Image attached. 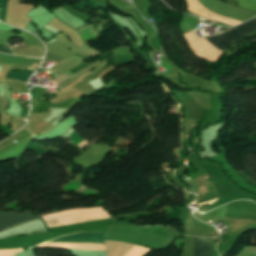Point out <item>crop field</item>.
Listing matches in <instances>:
<instances>
[{"instance_id":"crop-field-13","label":"crop field","mask_w":256,"mask_h":256,"mask_svg":"<svg viewBox=\"0 0 256 256\" xmlns=\"http://www.w3.org/2000/svg\"><path fill=\"white\" fill-rule=\"evenodd\" d=\"M25 120H26V119L24 118V120H23V121L25 122Z\"/></svg>"},{"instance_id":"crop-field-2","label":"crop field","mask_w":256,"mask_h":256,"mask_svg":"<svg viewBox=\"0 0 256 256\" xmlns=\"http://www.w3.org/2000/svg\"><path fill=\"white\" fill-rule=\"evenodd\" d=\"M186 184L197 191V201L208 200L219 196L216 188L214 187L212 181L207 177V175L186 182Z\"/></svg>"},{"instance_id":"crop-field-11","label":"crop field","mask_w":256,"mask_h":256,"mask_svg":"<svg viewBox=\"0 0 256 256\" xmlns=\"http://www.w3.org/2000/svg\"><path fill=\"white\" fill-rule=\"evenodd\" d=\"M249 256H256V254H252V253H250V255Z\"/></svg>"},{"instance_id":"crop-field-8","label":"crop field","mask_w":256,"mask_h":256,"mask_svg":"<svg viewBox=\"0 0 256 256\" xmlns=\"http://www.w3.org/2000/svg\"><path fill=\"white\" fill-rule=\"evenodd\" d=\"M67 138L71 139V144H73L74 146H76L77 148H81L83 145H85L87 143V141L82 140L79 135L74 131L73 133H71ZM82 140V141H81ZM81 141V142H80ZM80 142V143H79ZM79 143L78 145L81 146H77L76 144Z\"/></svg>"},{"instance_id":"crop-field-7","label":"crop field","mask_w":256,"mask_h":256,"mask_svg":"<svg viewBox=\"0 0 256 256\" xmlns=\"http://www.w3.org/2000/svg\"><path fill=\"white\" fill-rule=\"evenodd\" d=\"M240 7L256 12V0H237Z\"/></svg>"},{"instance_id":"crop-field-10","label":"crop field","mask_w":256,"mask_h":256,"mask_svg":"<svg viewBox=\"0 0 256 256\" xmlns=\"http://www.w3.org/2000/svg\"><path fill=\"white\" fill-rule=\"evenodd\" d=\"M0 52H5V53L13 54V53L9 50V48H8L7 45H1V44H0Z\"/></svg>"},{"instance_id":"crop-field-1","label":"crop field","mask_w":256,"mask_h":256,"mask_svg":"<svg viewBox=\"0 0 256 256\" xmlns=\"http://www.w3.org/2000/svg\"><path fill=\"white\" fill-rule=\"evenodd\" d=\"M236 29H234L231 32H226L222 35H217L213 38H206L208 41H210L212 44H214L217 48H219L220 50L223 49L224 47H226L227 45H229L230 43H232L233 41H235L236 39L254 31L256 29V19H251L237 27H235ZM256 34V30L238 40H236L235 42H233L232 44H230L229 46H227L226 48H224L221 51H224L225 49H227L228 47H230L231 45H233L234 43H236L237 41L250 37L252 35Z\"/></svg>"},{"instance_id":"crop-field-14","label":"crop field","mask_w":256,"mask_h":256,"mask_svg":"<svg viewBox=\"0 0 256 256\" xmlns=\"http://www.w3.org/2000/svg\"><path fill=\"white\" fill-rule=\"evenodd\" d=\"M217 200V199H216ZM215 201V200H214ZM210 202V201H209ZM213 202V201H212ZM211 203V202H210ZM205 204V203H204Z\"/></svg>"},{"instance_id":"crop-field-5","label":"crop field","mask_w":256,"mask_h":256,"mask_svg":"<svg viewBox=\"0 0 256 256\" xmlns=\"http://www.w3.org/2000/svg\"><path fill=\"white\" fill-rule=\"evenodd\" d=\"M32 71H10L7 78L17 79L26 82Z\"/></svg>"},{"instance_id":"crop-field-3","label":"crop field","mask_w":256,"mask_h":256,"mask_svg":"<svg viewBox=\"0 0 256 256\" xmlns=\"http://www.w3.org/2000/svg\"><path fill=\"white\" fill-rule=\"evenodd\" d=\"M188 256H211V239L190 237Z\"/></svg>"},{"instance_id":"crop-field-4","label":"crop field","mask_w":256,"mask_h":256,"mask_svg":"<svg viewBox=\"0 0 256 256\" xmlns=\"http://www.w3.org/2000/svg\"><path fill=\"white\" fill-rule=\"evenodd\" d=\"M39 216L15 214V213H0V231L15 225L31 221Z\"/></svg>"},{"instance_id":"crop-field-12","label":"crop field","mask_w":256,"mask_h":256,"mask_svg":"<svg viewBox=\"0 0 256 256\" xmlns=\"http://www.w3.org/2000/svg\"><path fill=\"white\" fill-rule=\"evenodd\" d=\"M24 58H31V57H24ZM31 59H38V58H31Z\"/></svg>"},{"instance_id":"crop-field-9","label":"crop field","mask_w":256,"mask_h":256,"mask_svg":"<svg viewBox=\"0 0 256 256\" xmlns=\"http://www.w3.org/2000/svg\"><path fill=\"white\" fill-rule=\"evenodd\" d=\"M7 7V0H0V20L4 22Z\"/></svg>"},{"instance_id":"crop-field-6","label":"crop field","mask_w":256,"mask_h":256,"mask_svg":"<svg viewBox=\"0 0 256 256\" xmlns=\"http://www.w3.org/2000/svg\"><path fill=\"white\" fill-rule=\"evenodd\" d=\"M197 119H184L183 126L185 128L184 138L185 142L188 140L189 132L191 129L196 127Z\"/></svg>"}]
</instances>
